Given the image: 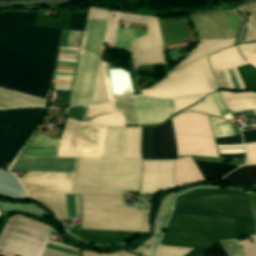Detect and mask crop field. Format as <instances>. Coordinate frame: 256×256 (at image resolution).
Returning a JSON list of instances; mask_svg holds the SVG:
<instances>
[{
	"label": "crop field",
	"mask_w": 256,
	"mask_h": 256,
	"mask_svg": "<svg viewBox=\"0 0 256 256\" xmlns=\"http://www.w3.org/2000/svg\"><path fill=\"white\" fill-rule=\"evenodd\" d=\"M161 245L195 248L196 256L218 240L256 234L246 193L234 189H195L175 199Z\"/></svg>",
	"instance_id": "obj_1"
},
{
	"label": "crop field",
	"mask_w": 256,
	"mask_h": 256,
	"mask_svg": "<svg viewBox=\"0 0 256 256\" xmlns=\"http://www.w3.org/2000/svg\"><path fill=\"white\" fill-rule=\"evenodd\" d=\"M126 128L109 127L103 159H80L73 189L139 191L141 160L124 159ZM73 190L82 218L148 221V210L124 206L123 192Z\"/></svg>",
	"instance_id": "obj_2"
},
{
	"label": "crop field",
	"mask_w": 256,
	"mask_h": 256,
	"mask_svg": "<svg viewBox=\"0 0 256 256\" xmlns=\"http://www.w3.org/2000/svg\"><path fill=\"white\" fill-rule=\"evenodd\" d=\"M22 16L0 14V86L45 98L61 30L21 27Z\"/></svg>",
	"instance_id": "obj_3"
},
{
	"label": "crop field",
	"mask_w": 256,
	"mask_h": 256,
	"mask_svg": "<svg viewBox=\"0 0 256 256\" xmlns=\"http://www.w3.org/2000/svg\"><path fill=\"white\" fill-rule=\"evenodd\" d=\"M113 13L114 11L111 10H103L96 8L89 9L87 18L110 20V23L109 21L104 20L87 19L86 21L69 106L90 104L91 102L99 62L104 45V40L107 32V27L109 23L105 45L112 21L111 15H113ZM107 101L108 100L102 77L101 58V63L98 71V76L91 104Z\"/></svg>",
	"instance_id": "obj_4"
},
{
	"label": "crop field",
	"mask_w": 256,
	"mask_h": 256,
	"mask_svg": "<svg viewBox=\"0 0 256 256\" xmlns=\"http://www.w3.org/2000/svg\"><path fill=\"white\" fill-rule=\"evenodd\" d=\"M200 43L158 84L141 91L155 98H176L198 95L217 89L207 56L230 47L234 39L207 40Z\"/></svg>",
	"instance_id": "obj_5"
},
{
	"label": "crop field",
	"mask_w": 256,
	"mask_h": 256,
	"mask_svg": "<svg viewBox=\"0 0 256 256\" xmlns=\"http://www.w3.org/2000/svg\"><path fill=\"white\" fill-rule=\"evenodd\" d=\"M176 141L177 159L188 156L219 158L207 115L186 112L171 119Z\"/></svg>",
	"instance_id": "obj_6"
},
{
	"label": "crop field",
	"mask_w": 256,
	"mask_h": 256,
	"mask_svg": "<svg viewBox=\"0 0 256 256\" xmlns=\"http://www.w3.org/2000/svg\"><path fill=\"white\" fill-rule=\"evenodd\" d=\"M49 108L0 111V169H6Z\"/></svg>",
	"instance_id": "obj_7"
},
{
	"label": "crop field",
	"mask_w": 256,
	"mask_h": 256,
	"mask_svg": "<svg viewBox=\"0 0 256 256\" xmlns=\"http://www.w3.org/2000/svg\"><path fill=\"white\" fill-rule=\"evenodd\" d=\"M73 178L74 173L27 172L20 179L30 197L67 219L65 194H71Z\"/></svg>",
	"instance_id": "obj_8"
},
{
	"label": "crop field",
	"mask_w": 256,
	"mask_h": 256,
	"mask_svg": "<svg viewBox=\"0 0 256 256\" xmlns=\"http://www.w3.org/2000/svg\"><path fill=\"white\" fill-rule=\"evenodd\" d=\"M51 230L20 216L8 219L0 233V253L38 256Z\"/></svg>",
	"instance_id": "obj_9"
},
{
	"label": "crop field",
	"mask_w": 256,
	"mask_h": 256,
	"mask_svg": "<svg viewBox=\"0 0 256 256\" xmlns=\"http://www.w3.org/2000/svg\"><path fill=\"white\" fill-rule=\"evenodd\" d=\"M107 129L68 119L57 157L102 158Z\"/></svg>",
	"instance_id": "obj_10"
},
{
	"label": "crop field",
	"mask_w": 256,
	"mask_h": 256,
	"mask_svg": "<svg viewBox=\"0 0 256 256\" xmlns=\"http://www.w3.org/2000/svg\"><path fill=\"white\" fill-rule=\"evenodd\" d=\"M87 14L70 15L67 30L83 31ZM63 31L60 51L77 54L83 32ZM59 53L58 64L75 66L77 55ZM57 65V70L74 71L75 67ZM74 72L56 71V76L72 78ZM55 78V83L71 85L72 79ZM55 84V89H70L71 86Z\"/></svg>",
	"instance_id": "obj_11"
},
{
	"label": "crop field",
	"mask_w": 256,
	"mask_h": 256,
	"mask_svg": "<svg viewBox=\"0 0 256 256\" xmlns=\"http://www.w3.org/2000/svg\"><path fill=\"white\" fill-rule=\"evenodd\" d=\"M190 17L199 40L235 37L239 18L234 12H210Z\"/></svg>",
	"instance_id": "obj_12"
},
{
	"label": "crop field",
	"mask_w": 256,
	"mask_h": 256,
	"mask_svg": "<svg viewBox=\"0 0 256 256\" xmlns=\"http://www.w3.org/2000/svg\"><path fill=\"white\" fill-rule=\"evenodd\" d=\"M148 35L136 40L132 48L136 69L143 64H168L156 18L146 16Z\"/></svg>",
	"instance_id": "obj_13"
},
{
	"label": "crop field",
	"mask_w": 256,
	"mask_h": 256,
	"mask_svg": "<svg viewBox=\"0 0 256 256\" xmlns=\"http://www.w3.org/2000/svg\"><path fill=\"white\" fill-rule=\"evenodd\" d=\"M174 160H143L140 194H152L174 187Z\"/></svg>",
	"instance_id": "obj_14"
},
{
	"label": "crop field",
	"mask_w": 256,
	"mask_h": 256,
	"mask_svg": "<svg viewBox=\"0 0 256 256\" xmlns=\"http://www.w3.org/2000/svg\"><path fill=\"white\" fill-rule=\"evenodd\" d=\"M139 124H158L175 113L172 100L133 96Z\"/></svg>",
	"instance_id": "obj_15"
},
{
	"label": "crop field",
	"mask_w": 256,
	"mask_h": 256,
	"mask_svg": "<svg viewBox=\"0 0 256 256\" xmlns=\"http://www.w3.org/2000/svg\"><path fill=\"white\" fill-rule=\"evenodd\" d=\"M77 158H16L9 170L74 172Z\"/></svg>",
	"instance_id": "obj_16"
},
{
	"label": "crop field",
	"mask_w": 256,
	"mask_h": 256,
	"mask_svg": "<svg viewBox=\"0 0 256 256\" xmlns=\"http://www.w3.org/2000/svg\"><path fill=\"white\" fill-rule=\"evenodd\" d=\"M237 50H238L239 54L241 55L238 46H237ZM241 57L244 59V57L242 55H241ZM245 62L247 64H249L246 60H245ZM237 69H238V71L240 73V76H241V78L243 80V83H244L246 89H254V90H256V69L251 64L246 65V66H242V67H238ZM237 69L234 68L232 70H233V72L235 74V77H236V79L238 81V84H239L240 88L241 89H245ZM232 70L229 69L228 71H229V73L231 75V78H232V80L234 82V85H235L236 89L239 90L240 88H239V86L237 84V81H236V79L234 77V74H233ZM228 71L224 70V71H217V72H213V73L215 75V78H216L217 83H218L220 88L236 90L234 85H233V82H232V80L230 78V75H229Z\"/></svg>",
	"instance_id": "obj_17"
},
{
	"label": "crop field",
	"mask_w": 256,
	"mask_h": 256,
	"mask_svg": "<svg viewBox=\"0 0 256 256\" xmlns=\"http://www.w3.org/2000/svg\"><path fill=\"white\" fill-rule=\"evenodd\" d=\"M153 159H176L171 121L153 128Z\"/></svg>",
	"instance_id": "obj_18"
},
{
	"label": "crop field",
	"mask_w": 256,
	"mask_h": 256,
	"mask_svg": "<svg viewBox=\"0 0 256 256\" xmlns=\"http://www.w3.org/2000/svg\"><path fill=\"white\" fill-rule=\"evenodd\" d=\"M147 233L81 229V240L89 243L108 245L125 243Z\"/></svg>",
	"instance_id": "obj_19"
},
{
	"label": "crop field",
	"mask_w": 256,
	"mask_h": 256,
	"mask_svg": "<svg viewBox=\"0 0 256 256\" xmlns=\"http://www.w3.org/2000/svg\"><path fill=\"white\" fill-rule=\"evenodd\" d=\"M81 228L149 232V222L82 219Z\"/></svg>",
	"instance_id": "obj_20"
},
{
	"label": "crop field",
	"mask_w": 256,
	"mask_h": 256,
	"mask_svg": "<svg viewBox=\"0 0 256 256\" xmlns=\"http://www.w3.org/2000/svg\"><path fill=\"white\" fill-rule=\"evenodd\" d=\"M220 95L230 112L256 108V93H232L221 91ZM247 113L249 116H256V109L247 110Z\"/></svg>",
	"instance_id": "obj_21"
},
{
	"label": "crop field",
	"mask_w": 256,
	"mask_h": 256,
	"mask_svg": "<svg viewBox=\"0 0 256 256\" xmlns=\"http://www.w3.org/2000/svg\"><path fill=\"white\" fill-rule=\"evenodd\" d=\"M202 180L203 178L191 157L175 160V164H174L175 187L179 185L202 181Z\"/></svg>",
	"instance_id": "obj_22"
},
{
	"label": "crop field",
	"mask_w": 256,
	"mask_h": 256,
	"mask_svg": "<svg viewBox=\"0 0 256 256\" xmlns=\"http://www.w3.org/2000/svg\"><path fill=\"white\" fill-rule=\"evenodd\" d=\"M45 99L0 88V109L21 106H44Z\"/></svg>",
	"instance_id": "obj_23"
},
{
	"label": "crop field",
	"mask_w": 256,
	"mask_h": 256,
	"mask_svg": "<svg viewBox=\"0 0 256 256\" xmlns=\"http://www.w3.org/2000/svg\"><path fill=\"white\" fill-rule=\"evenodd\" d=\"M209 61L213 71L246 65L237 53L236 46L210 55Z\"/></svg>",
	"instance_id": "obj_24"
},
{
	"label": "crop field",
	"mask_w": 256,
	"mask_h": 256,
	"mask_svg": "<svg viewBox=\"0 0 256 256\" xmlns=\"http://www.w3.org/2000/svg\"><path fill=\"white\" fill-rule=\"evenodd\" d=\"M0 193L14 198H29L19 179L2 170H0Z\"/></svg>",
	"instance_id": "obj_25"
},
{
	"label": "crop field",
	"mask_w": 256,
	"mask_h": 256,
	"mask_svg": "<svg viewBox=\"0 0 256 256\" xmlns=\"http://www.w3.org/2000/svg\"><path fill=\"white\" fill-rule=\"evenodd\" d=\"M146 34L145 31L119 27L113 47L130 52L134 40Z\"/></svg>",
	"instance_id": "obj_26"
},
{
	"label": "crop field",
	"mask_w": 256,
	"mask_h": 256,
	"mask_svg": "<svg viewBox=\"0 0 256 256\" xmlns=\"http://www.w3.org/2000/svg\"><path fill=\"white\" fill-rule=\"evenodd\" d=\"M204 179L220 180L236 166L195 161Z\"/></svg>",
	"instance_id": "obj_27"
},
{
	"label": "crop field",
	"mask_w": 256,
	"mask_h": 256,
	"mask_svg": "<svg viewBox=\"0 0 256 256\" xmlns=\"http://www.w3.org/2000/svg\"><path fill=\"white\" fill-rule=\"evenodd\" d=\"M217 144L242 143L241 136L216 139ZM221 154L245 153L243 144L218 145ZM245 157V154L220 155V158Z\"/></svg>",
	"instance_id": "obj_28"
},
{
	"label": "crop field",
	"mask_w": 256,
	"mask_h": 256,
	"mask_svg": "<svg viewBox=\"0 0 256 256\" xmlns=\"http://www.w3.org/2000/svg\"><path fill=\"white\" fill-rule=\"evenodd\" d=\"M112 91L123 93L127 91V87L134 93L130 82L129 73L122 69H109Z\"/></svg>",
	"instance_id": "obj_29"
},
{
	"label": "crop field",
	"mask_w": 256,
	"mask_h": 256,
	"mask_svg": "<svg viewBox=\"0 0 256 256\" xmlns=\"http://www.w3.org/2000/svg\"><path fill=\"white\" fill-rule=\"evenodd\" d=\"M139 139L140 128H127L125 158L141 159Z\"/></svg>",
	"instance_id": "obj_30"
},
{
	"label": "crop field",
	"mask_w": 256,
	"mask_h": 256,
	"mask_svg": "<svg viewBox=\"0 0 256 256\" xmlns=\"http://www.w3.org/2000/svg\"><path fill=\"white\" fill-rule=\"evenodd\" d=\"M114 103L116 110H121L123 112L126 124H138L132 97L117 99L114 101Z\"/></svg>",
	"instance_id": "obj_31"
},
{
	"label": "crop field",
	"mask_w": 256,
	"mask_h": 256,
	"mask_svg": "<svg viewBox=\"0 0 256 256\" xmlns=\"http://www.w3.org/2000/svg\"><path fill=\"white\" fill-rule=\"evenodd\" d=\"M85 122L95 123L106 126H125L124 116L120 112L99 115Z\"/></svg>",
	"instance_id": "obj_32"
},
{
	"label": "crop field",
	"mask_w": 256,
	"mask_h": 256,
	"mask_svg": "<svg viewBox=\"0 0 256 256\" xmlns=\"http://www.w3.org/2000/svg\"><path fill=\"white\" fill-rule=\"evenodd\" d=\"M188 110L199 111L214 116H221L218 107L216 106L210 95H208L203 101L199 102L195 106L188 108L184 111Z\"/></svg>",
	"instance_id": "obj_33"
},
{
	"label": "crop field",
	"mask_w": 256,
	"mask_h": 256,
	"mask_svg": "<svg viewBox=\"0 0 256 256\" xmlns=\"http://www.w3.org/2000/svg\"><path fill=\"white\" fill-rule=\"evenodd\" d=\"M170 212V208L159 207L158 213L155 215L153 220V235L161 236Z\"/></svg>",
	"instance_id": "obj_34"
},
{
	"label": "crop field",
	"mask_w": 256,
	"mask_h": 256,
	"mask_svg": "<svg viewBox=\"0 0 256 256\" xmlns=\"http://www.w3.org/2000/svg\"><path fill=\"white\" fill-rule=\"evenodd\" d=\"M141 155L142 159H152V128L143 127Z\"/></svg>",
	"instance_id": "obj_35"
},
{
	"label": "crop field",
	"mask_w": 256,
	"mask_h": 256,
	"mask_svg": "<svg viewBox=\"0 0 256 256\" xmlns=\"http://www.w3.org/2000/svg\"><path fill=\"white\" fill-rule=\"evenodd\" d=\"M58 148L24 147L18 156L56 157Z\"/></svg>",
	"instance_id": "obj_36"
},
{
	"label": "crop field",
	"mask_w": 256,
	"mask_h": 256,
	"mask_svg": "<svg viewBox=\"0 0 256 256\" xmlns=\"http://www.w3.org/2000/svg\"><path fill=\"white\" fill-rule=\"evenodd\" d=\"M209 118L215 138L233 136L231 125L229 123H220L219 118L211 116H209Z\"/></svg>",
	"instance_id": "obj_37"
},
{
	"label": "crop field",
	"mask_w": 256,
	"mask_h": 256,
	"mask_svg": "<svg viewBox=\"0 0 256 256\" xmlns=\"http://www.w3.org/2000/svg\"><path fill=\"white\" fill-rule=\"evenodd\" d=\"M59 140L34 133L26 146L58 147Z\"/></svg>",
	"instance_id": "obj_38"
},
{
	"label": "crop field",
	"mask_w": 256,
	"mask_h": 256,
	"mask_svg": "<svg viewBox=\"0 0 256 256\" xmlns=\"http://www.w3.org/2000/svg\"><path fill=\"white\" fill-rule=\"evenodd\" d=\"M192 249L181 247H168L159 245L155 256H184L188 254Z\"/></svg>",
	"instance_id": "obj_39"
},
{
	"label": "crop field",
	"mask_w": 256,
	"mask_h": 256,
	"mask_svg": "<svg viewBox=\"0 0 256 256\" xmlns=\"http://www.w3.org/2000/svg\"><path fill=\"white\" fill-rule=\"evenodd\" d=\"M114 111H115V108H114L113 101L107 104L91 105V106H88L86 119L99 114L110 113Z\"/></svg>",
	"instance_id": "obj_40"
},
{
	"label": "crop field",
	"mask_w": 256,
	"mask_h": 256,
	"mask_svg": "<svg viewBox=\"0 0 256 256\" xmlns=\"http://www.w3.org/2000/svg\"><path fill=\"white\" fill-rule=\"evenodd\" d=\"M246 60L256 67V43L239 45Z\"/></svg>",
	"instance_id": "obj_41"
},
{
	"label": "crop field",
	"mask_w": 256,
	"mask_h": 256,
	"mask_svg": "<svg viewBox=\"0 0 256 256\" xmlns=\"http://www.w3.org/2000/svg\"><path fill=\"white\" fill-rule=\"evenodd\" d=\"M158 240L159 237L153 236L135 251L144 256H152Z\"/></svg>",
	"instance_id": "obj_42"
},
{
	"label": "crop field",
	"mask_w": 256,
	"mask_h": 256,
	"mask_svg": "<svg viewBox=\"0 0 256 256\" xmlns=\"http://www.w3.org/2000/svg\"><path fill=\"white\" fill-rule=\"evenodd\" d=\"M67 200V212L68 217H76V206H77V216L81 217L80 212V200H79V214H78V196H76V206H75V195H66Z\"/></svg>",
	"instance_id": "obj_43"
},
{
	"label": "crop field",
	"mask_w": 256,
	"mask_h": 256,
	"mask_svg": "<svg viewBox=\"0 0 256 256\" xmlns=\"http://www.w3.org/2000/svg\"><path fill=\"white\" fill-rule=\"evenodd\" d=\"M223 180L249 184L247 177H246L244 167H241V168L235 170L234 172L230 173L229 175L224 177Z\"/></svg>",
	"instance_id": "obj_44"
},
{
	"label": "crop field",
	"mask_w": 256,
	"mask_h": 256,
	"mask_svg": "<svg viewBox=\"0 0 256 256\" xmlns=\"http://www.w3.org/2000/svg\"><path fill=\"white\" fill-rule=\"evenodd\" d=\"M203 96L204 95L173 100L176 112L195 103L197 100H199Z\"/></svg>",
	"instance_id": "obj_45"
},
{
	"label": "crop field",
	"mask_w": 256,
	"mask_h": 256,
	"mask_svg": "<svg viewBox=\"0 0 256 256\" xmlns=\"http://www.w3.org/2000/svg\"><path fill=\"white\" fill-rule=\"evenodd\" d=\"M203 256H227L221 244L216 242L211 247L202 252Z\"/></svg>",
	"instance_id": "obj_46"
},
{
	"label": "crop field",
	"mask_w": 256,
	"mask_h": 256,
	"mask_svg": "<svg viewBox=\"0 0 256 256\" xmlns=\"http://www.w3.org/2000/svg\"><path fill=\"white\" fill-rule=\"evenodd\" d=\"M45 247L53 249V250H57V251H60V252H64V253H67V254H71V255H74V256H79V253H78L77 249L66 247V246L56 244V243H53V242L48 241Z\"/></svg>",
	"instance_id": "obj_47"
},
{
	"label": "crop field",
	"mask_w": 256,
	"mask_h": 256,
	"mask_svg": "<svg viewBox=\"0 0 256 256\" xmlns=\"http://www.w3.org/2000/svg\"><path fill=\"white\" fill-rule=\"evenodd\" d=\"M247 163L245 165L256 164V142L246 143Z\"/></svg>",
	"instance_id": "obj_48"
},
{
	"label": "crop field",
	"mask_w": 256,
	"mask_h": 256,
	"mask_svg": "<svg viewBox=\"0 0 256 256\" xmlns=\"http://www.w3.org/2000/svg\"><path fill=\"white\" fill-rule=\"evenodd\" d=\"M120 20L146 24L145 16L122 12Z\"/></svg>",
	"instance_id": "obj_49"
},
{
	"label": "crop field",
	"mask_w": 256,
	"mask_h": 256,
	"mask_svg": "<svg viewBox=\"0 0 256 256\" xmlns=\"http://www.w3.org/2000/svg\"><path fill=\"white\" fill-rule=\"evenodd\" d=\"M121 13L115 12L114 14V19H113V23H112V27H111V31L109 34V38H108V42L107 45L112 48V44H113V38H114V34L117 28V23H118V19Z\"/></svg>",
	"instance_id": "obj_50"
},
{
	"label": "crop field",
	"mask_w": 256,
	"mask_h": 256,
	"mask_svg": "<svg viewBox=\"0 0 256 256\" xmlns=\"http://www.w3.org/2000/svg\"><path fill=\"white\" fill-rule=\"evenodd\" d=\"M83 256H134L130 253H128L125 249L117 252V253H112V254H98V253H92V252H87V251H83Z\"/></svg>",
	"instance_id": "obj_51"
},
{
	"label": "crop field",
	"mask_w": 256,
	"mask_h": 256,
	"mask_svg": "<svg viewBox=\"0 0 256 256\" xmlns=\"http://www.w3.org/2000/svg\"><path fill=\"white\" fill-rule=\"evenodd\" d=\"M240 244L242 245L246 256H256L254 247L249 239L240 241Z\"/></svg>",
	"instance_id": "obj_52"
},
{
	"label": "crop field",
	"mask_w": 256,
	"mask_h": 256,
	"mask_svg": "<svg viewBox=\"0 0 256 256\" xmlns=\"http://www.w3.org/2000/svg\"><path fill=\"white\" fill-rule=\"evenodd\" d=\"M247 196H248V200H249V204H250V208H251V212H252V216H253V220L256 228V194L247 192Z\"/></svg>",
	"instance_id": "obj_53"
},
{
	"label": "crop field",
	"mask_w": 256,
	"mask_h": 256,
	"mask_svg": "<svg viewBox=\"0 0 256 256\" xmlns=\"http://www.w3.org/2000/svg\"><path fill=\"white\" fill-rule=\"evenodd\" d=\"M107 65H108V63L103 61L104 83H105V88H106V92H107V95H108V99L110 101V100H112V96H111L110 85H109V80H108Z\"/></svg>",
	"instance_id": "obj_54"
},
{
	"label": "crop field",
	"mask_w": 256,
	"mask_h": 256,
	"mask_svg": "<svg viewBox=\"0 0 256 256\" xmlns=\"http://www.w3.org/2000/svg\"><path fill=\"white\" fill-rule=\"evenodd\" d=\"M251 184L256 185V165L244 166Z\"/></svg>",
	"instance_id": "obj_55"
},
{
	"label": "crop field",
	"mask_w": 256,
	"mask_h": 256,
	"mask_svg": "<svg viewBox=\"0 0 256 256\" xmlns=\"http://www.w3.org/2000/svg\"><path fill=\"white\" fill-rule=\"evenodd\" d=\"M36 13L24 14L22 26H34Z\"/></svg>",
	"instance_id": "obj_56"
},
{
	"label": "crop field",
	"mask_w": 256,
	"mask_h": 256,
	"mask_svg": "<svg viewBox=\"0 0 256 256\" xmlns=\"http://www.w3.org/2000/svg\"><path fill=\"white\" fill-rule=\"evenodd\" d=\"M211 96L214 98L215 102L219 106V109L221 111V115L223 116L226 113L227 110L225 108V105L222 103L218 92L216 91V92L211 93Z\"/></svg>",
	"instance_id": "obj_57"
},
{
	"label": "crop field",
	"mask_w": 256,
	"mask_h": 256,
	"mask_svg": "<svg viewBox=\"0 0 256 256\" xmlns=\"http://www.w3.org/2000/svg\"><path fill=\"white\" fill-rule=\"evenodd\" d=\"M244 141L256 140V129L242 131Z\"/></svg>",
	"instance_id": "obj_58"
},
{
	"label": "crop field",
	"mask_w": 256,
	"mask_h": 256,
	"mask_svg": "<svg viewBox=\"0 0 256 256\" xmlns=\"http://www.w3.org/2000/svg\"><path fill=\"white\" fill-rule=\"evenodd\" d=\"M40 256H71V255L63 254V253H60V252H56V251L44 248V250H43V252L41 253Z\"/></svg>",
	"instance_id": "obj_59"
},
{
	"label": "crop field",
	"mask_w": 256,
	"mask_h": 256,
	"mask_svg": "<svg viewBox=\"0 0 256 256\" xmlns=\"http://www.w3.org/2000/svg\"><path fill=\"white\" fill-rule=\"evenodd\" d=\"M246 41H256V34L253 31H251L248 27L245 36V42Z\"/></svg>",
	"instance_id": "obj_60"
},
{
	"label": "crop field",
	"mask_w": 256,
	"mask_h": 256,
	"mask_svg": "<svg viewBox=\"0 0 256 256\" xmlns=\"http://www.w3.org/2000/svg\"><path fill=\"white\" fill-rule=\"evenodd\" d=\"M250 7L243 6L240 9H238L241 12H248V11H256V3L249 4Z\"/></svg>",
	"instance_id": "obj_61"
},
{
	"label": "crop field",
	"mask_w": 256,
	"mask_h": 256,
	"mask_svg": "<svg viewBox=\"0 0 256 256\" xmlns=\"http://www.w3.org/2000/svg\"><path fill=\"white\" fill-rule=\"evenodd\" d=\"M247 25L256 31V17L249 15Z\"/></svg>",
	"instance_id": "obj_62"
},
{
	"label": "crop field",
	"mask_w": 256,
	"mask_h": 256,
	"mask_svg": "<svg viewBox=\"0 0 256 256\" xmlns=\"http://www.w3.org/2000/svg\"><path fill=\"white\" fill-rule=\"evenodd\" d=\"M172 203H173V193L166 196L161 205H168V206L172 207Z\"/></svg>",
	"instance_id": "obj_63"
},
{
	"label": "crop field",
	"mask_w": 256,
	"mask_h": 256,
	"mask_svg": "<svg viewBox=\"0 0 256 256\" xmlns=\"http://www.w3.org/2000/svg\"><path fill=\"white\" fill-rule=\"evenodd\" d=\"M250 237H251L252 242H253V244H254V247H255V249H256V235H251Z\"/></svg>",
	"instance_id": "obj_64"
},
{
	"label": "crop field",
	"mask_w": 256,
	"mask_h": 256,
	"mask_svg": "<svg viewBox=\"0 0 256 256\" xmlns=\"http://www.w3.org/2000/svg\"><path fill=\"white\" fill-rule=\"evenodd\" d=\"M247 14H250V15L256 16V12H250V13H247Z\"/></svg>",
	"instance_id": "obj_65"
}]
</instances>
